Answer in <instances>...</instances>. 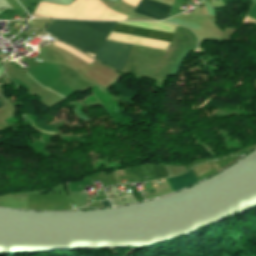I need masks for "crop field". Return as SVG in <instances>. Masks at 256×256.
Instances as JSON below:
<instances>
[{
	"instance_id": "8a807250",
	"label": "crop field",
	"mask_w": 256,
	"mask_h": 256,
	"mask_svg": "<svg viewBox=\"0 0 256 256\" xmlns=\"http://www.w3.org/2000/svg\"><path fill=\"white\" fill-rule=\"evenodd\" d=\"M115 24L116 22L52 20L45 32L95 55Z\"/></svg>"
},
{
	"instance_id": "ac0d7876",
	"label": "crop field",
	"mask_w": 256,
	"mask_h": 256,
	"mask_svg": "<svg viewBox=\"0 0 256 256\" xmlns=\"http://www.w3.org/2000/svg\"><path fill=\"white\" fill-rule=\"evenodd\" d=\"M113 31L168 42H171L173 38V34L171 33L159 32L119 24H116ZM131 46L132 45L130 44L106 40L94 58L104 62L105 64L120 72V70L123 68L127 60Z\"/></svg>"
},
{
	"instance_id": "34b2d1b8",
	"label": "crop field",
	"mask_w": 256,
	"mask_h": 256,
	"mask_svg": "<svg viewBox=\"0 0 256 256\" xmlns=\"http://www.w3.org/2000/svg\"><path fill=\"white\" fill-rule=\"evenodd\" d=\"M171 6L159 4L150 0H141L134 12H138L155 19H167Z\"/></svg>"
},
{
	"instance_id": "412701ff",
	"label": "crop field",
	"mask_w": 256,
	"mask_h": 256,
	"mask_svg": "<svg viewBox=\"0 0 256 256\" xmlns=\"http://www.w3.org/2000/svg\"><path fill=\"white\" fill-rule=\"evenodd\" d=\"M190 53V51L184 49L183 52L179 55L173 69H172V72L170 74V76H176L179 72V69L185 59V57Z\"/></svg>"
},
{
	"instance_id": "f4fd0767",
	"label": "crop field",
	"mask_w": 256,
	"mask_h": 256,
	"mask_svg": "<svg viewBox=\"0 0 256 256\" xmlns=\"http://www.w3.org/2000/svg\"><path fill=\"white\" fill-rule=\"evenodd\" d=\"M246 18H247V16H246ZM246 18H245V20H246ZM245 20H244V24H245ZM252 22H256V21L248 17V19L246 20V24L252 23Z\"/></svg>"
},
{
	"instance_id": "dd49c442",
	"label": "crop field",
	"mask_w": 256,
	"mask_h": 256,
	"mask_svg": "<svg viewBox=\"0 0 256 256\" xmlns=\"http://www.w3.org/2000/svg\"><path fill=\"white\" fill-rule=\"evenodd\" d=\"M4 101L0 98V107L3 106Z\"/></svg>"
},
{
	"instance_id": "e52e79f7",
	"label": "crop field",
	"mask_w": 256,
	"mask_h": 256,
	"mask_svg": "<svg viewBox=\"0 0 256 256\" xmlns=\"http://www.w3.org/2000/svg\"><path fill=\"white\" fill-rule=\"evenodd\" d=\"M153 182H157V183H158V182H160V181H159V180H156V181H150V182H148V183H153Z\"/></svg>"
},
{
	"instance_id": "d8731c3e",
	"label": "crop field",
	"mask_w": 256,
	"mask_h": 256,
	"mask_svg": "<svg viewBox=\"0 0 256 256\" xmlns=\"http://www.w3.org/2000/svg\"><path fill=\"white\" fill-rule=\"evenodd\" d=\"M33 17H43V16H39V15H35V14H34Z\"/></svg>"
},
{
	"instance_id": "5a996713",
	"label": "crop field",
	"mask_w": 256,
	"mask_h": 256,
	"mask_svg": "<svg viewBox=\"0 0 256 256\" xmlns=\"http://www.w3.org/2000/svg\"><path fill=\"white\" fill-rule=\"evenodd\" d=\"M52 91V90H51ZM54 92V91H53Z\"/></svg>"
}]
</instances>
